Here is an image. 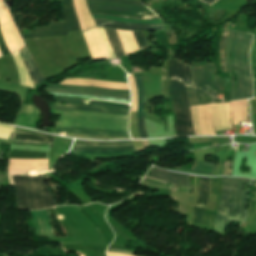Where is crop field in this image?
Listing matches in <instances>:
<instances>
[{"label": "crop field", "instance_id": "obj_1", "mask_svg": "<svg viewBox=\"0 0 256 256\" xmlns=\"http://www.w3.org/2000/svg\"><path fill=\"white\" fill-rule=\"evenodd\" d=\"M128 116L129 115L102 114L87 111H63L54 133L89 134L109 137L130 136L128 132ZM80 127L118 131L92 130Z\"/></svg>", "mask_w": 256, "mask_h": 256}, {"label": "crop field", "instance_id": "obj_2", "mask_svg": "<svg viewBox=\"0 0 256 256\" xmlns=\"http://www.w3.org/2000/svg\"><path fill=\"white\" fill-rule=\"evenodd\" d=\"M185 86H192L191 67L169 58L168 93L175 113L176 136L194 135Z\"/></svg>", "mask_w": 256, "mask_h": 256}, {"label": "crop field", "instance_id": "obj_3", "mask_svg": "<svg viewBox=\"0 0 256 256\" xmlns=\"http://www.w3.org/2000/svg\"><path fill=\"white\" fill-rule=\"evenodd\" d=\"M246 181V184H245ZM250 183V179L246 178H230L222 177V194L220 199L219 210L216 214L215 220V231L218 233H223L225 230V225L227 219L228 223H231L233 219L238 221H243L245 217V207L247 201V187ZM244 202L243 207L241 208L242 194L244 190ZM239 186V189H238ZM238 189V203L236 207L235 217L233 218L234 209L236 205V194ZM233 196L232 205H230L231 197Z\"/></svg>", "mask_w": 256, "mask_h": 256}, {"label": "crop field", "instance_id": "obj_4", "mask_svg": "<svg viewBox=\"0 0 256 256\" xmlns=\"http://www.w3.org/2000/svg\"><path fill=\"white\" fill-rule=\"evenodd\" d=\"M224 78L216 77L214 64L193 68V87H187L190 106L223 102Z\"/></svg>", "mask_w": 256, "mask_h": 256}, {"label": "crop field", "instance_id": "obj_5", "mask_svg": "<svg viewBox=\"0 0 256 256\" xmlns=\"http://www.w3.org/2000/svg\"><path fill=\"white\" fill-rule=\"evenodd\" d=\"M252 35L235 32L231 49V63L236 76V99L252 97V79L249 70V48Z\"/></svg>", "mask_w": 256, "mask_h": 256}, {"label": "crop field", "instance_id": "obj_6", "mask_svg": "<svg viewBox=\"0 0 256 256\" xmlns=\"http://www.w3.org/2000/svg\"><path fill=\"white\" fill-rule=\"evenodd\" d=\"M13 178L18 209H42L56 206L44 184L43 174L33 177L18 175Z\"/></svg>", "mask_w": 256, "mask_h": 256}, {"label": "crop field", "instance_id": "obj_7", "mask_svg": "<svg viewBox=\"0 0 256 256\" xmlns=\"http://www.w3.org/2000/svg\"><path fill=\"white\" fill-rule=\"evenodd\" d=\"M191 110L196 135H215L210 115H212L215 130L231 128L229 103L196 106L191 107Z\"/></svg>", "mask_w": 256, "mask_h": 256}, {"label": "crop field", "instance_id": "obj_8", "mask_svg": "<svg viewBox=\"0 0 256 256\" xmlns=\"http://www.w3.org/2000/svg\"><path fill=\"white\" fill-rule=\"evenodd\" d=\"M19 53L32 77V80L34 82V84H38L41 81L46 80L38 71L35 63L33 62L26 46L24 48H22L21 50H19ZM18 51L13 53L12 56L15 60V63L17 65V69H18V74H19V78H20V82L22 85L25 86H30V87H34V84L31 80V77L19 55ZM35 88V87H34Z\"/></svg>", "mask_w": 256, "mask_h": 256}, {"label": "crop field", "instance_id": "obj_9", "mask_svg": "<svg viewBox=\"0 0 256 256\" xmlns=\"http://www.w3.org/2000/svg\"><path fill=\"white\" fill-rule=\"evenodd\" d=\"M147 176L189 187V175L168 172L166 170L156 168ZM146 178H144L141 184L152 186V187L168 188L176 191L189 193V188L187 187H183L175 184H169V183L165 184V183H161L162 181L157 182L158 180L154 181Z\"/></svg>", "mask_w": 256, "mask_h": 256}, {"label": "crop field", "instance_id": "obj_10", "mask_svg": "<svg viewBox=\"0 0 256 256\" xmlns=\"http://www.w3.org/2000/svg\"><path fill=\"white\" fill-rule=\"evenodd\" d=\"M133 146L125 147H72L69 153H76L84 156H116L131 153Z\"/></svg>", "mask_w": 256, "mask_h": 256}, {"label": "crop field", "instance_id": "obj_11", "mask_svg": "<svg viewBox=\"0 0 256 256\" xmlns=\"http://www.w3.org/2000/svg\"><path fill=\"white\" fill-rule=\"evenodd\" d=\"M48 159H9L8 174H20L30 170H48Z\"/></svg>", "mask_w": 256, "mask_h": 256}, {"label": "crop field", "instance_id": "obj_12", "mask_svg": "<svg viewBox=\"0 0 256 256\" xmlns=\"http://www.w3.org/2000/svg\"><path fill=\"white\" fill-rule=\"evenodd\" d=\"M209 177H199L197 204L193 208L192 224L202 225L203 208L206 204L209 191Z\"/></svg>", "mask_w": 256, "mask_h": 256}, {"label": "crop field", "instance_id": "obj_13", "mask_svg": "<svg viewBox=\"0 0 256 256\" xmlns=\"http://www.w3.org/2000/svg\"><path fill=\"white\" fill-rule=\"evenodd\" d=\"M94 29H98V28H96V27L91 28V29H89L85 32H88V31H91V30H94ZM85 32H83V33H85ZM84 35L86 37V40L88 42V45L90 47V50L92 52L93 57L107 56L108 55L107 50H106V46L104 44V41L102 39V36H101L99 30H94V31L85 33ZM89 47H88V49H89ZM90 50H89V52H90ZM91 52H90V54H91ZM92 55H91V57H92ZM93 57H92V59H93ZM104 58H106V60L110 59V57L107 56V57L94 58L93 61L95 59H104Z\"/></svg>", "mask_w": 256, "mask_h": 256}, {"label": "crop field", "instance_id": "obj_14", "mask_svg": "<svg viewBox=\"0 0 256 256\" xmlns=\"http://www.w3.org/2000/svg\"><path fill=\"white\" fill-rule=\"evenodd\" d=\"M97 26L102 27H111V28H119V29H129V30H151V31H159L164 29V24H132L118 21H111L105 19H94Z\"/></svg>", "mask_w": 256, "mask_h": 256}, {"label": "crop field", "instance_id": "obj_15", "mask_svg": "<svg viewBox=\"0 0 256 256\" xmlns=\"http://www.w3.org/2000/svg\"><path fill=\"white\" fill-rule=\"evenodd\" d=\"M88 9H99V10H107L121 13H135L141 15L153 14L147 8L141 7H133V6H125L111 3H97V2H86Z\"/></svg>", "mask_w": 256, "mask_h": 256}, {"label": "crop field", "instance_id": "obj_16", "mask_svg": "<svg viewBox=\"0 0 256 256\" xmlns=\"http://www.w3.org/2000/svg\"><path fill=\"white\" fill-rule=\"evenodd\" d=\"M37 236H56L47 217L46 211H30Z\"/></svg>", "mask_w": 256, "mask_h": 256}, {"label": "crop field", "instance_id": "obj_17", "mask_svg": "<svg viewBox=\"0 0 256 256\" xmlns=\"http://www.w3.org/2000/svg\"><path fill=\"white\" fill-rule=\"evenodd\" d=\"M47 92L52 93H67V94H83V95H93V96H110L130 100V93H110L103 91H94V90H82V89H67V88H54L47 87L45 89Z\"/></svg>", "mask_w": 256, "mask_h": 256}, {"label": "crop field", "instance_id": "obj_18", "mask_svg": "<svg viewBox=\"0 0 256 256\" xmlns=\"http://www.w3.org/2000/svg\"><path fill=\"white\" fill-rule=\"evenodd\" d=\"M2 35L4 38V41L10 51V53L18 50L23 46L22 40L19 36V33L17 29L15 28L13 22L5 25V26H0Z\"/></svg>", "mask_w": 256, "mask_h": 256}, {"label": "crop field", "instance_id": "obj_19", "mask_svg": "<svg viewBox=\"0 0 256 256\" xmlns=\"http://www.w3.org/2000/svg\"><path fill=\"white\" fill-rule=\"evenodd\" d=\"M52 109L57 110H87L96 111L103 113H115V114H129V110L125 109H115V108H105V107H95V106H85V105H66L60 103H50Z\"/></svg>", "mask_w": 256, "mask_h": 256}, {"label": "crop field", "instance_id": "obj_20", "mask_svg": "<svg viewBox=\"0 0 256 256\" xmlns=\"http://www.w3.org/2000/svg\"><path fill=\"white\" fill-rule=\"evenodd\" d=\"M67 34L65 22L51 23L49 26L34 28L30 30L29 34L21 35L22 38L47 36V35H61Z\"/></svg>", "mask_w": 256, "mask_h": 256}, {"label": "crop field", "instance_id": "obj_21", "mask_svg": "<svg viewBox=\"0 0 256 256\" xmlns=\"http://www.w3.org/2000/svg\"><path fill=\"white\" fill-rule=\"evenodd\" d=\"M134 76L138 91V131L141 138H147L144 129V89L142 85L141 75L134 74Z\"/></svg>", "mask_w": 256, "mask_h": 256}, {"label": "crop field", "instance_id": "obj_22", "mask_svg": "<svg viewBox=\"0 0 256 256\" xmlns=\"http://www.w3.org/2000/svg\"><path fill=\"white\" fill-rule=\"evenodd\" d=\"M61 83L100 86V87H107V88H113V89H129L128 85L125 83H115V82L89 80V79H66Z\"/></svg>", "mask_w": 256, "mask_h": 256}, {"label": "crop field", "instance_id": "obj_23", "mask_svg": "<svg viewBox=\"0 0 256 256\" xmlns=\"http://www.w3.org/2000/svg\"><path fill=\"white\" fill-rule=\"evenodd\" d=\"M74 1V8L76 10L81 30H85L90 27H94L95 23L93 19L90 17L89 12L86 8L85 0H73Z\"/></svg>", "mask_w": 256, "mask_h": 256}, {"label": "crop field", "instance_id": "obj_24", "mask_svg": "<svg viewBox=\"0 0 256 256\" xmlns=\"http://www.w3.org/2000/svg\"><path fill=\"white\" fill-rule=\"evenodd\" d=\"M116 30L122 43L125 56L139 50L132 31Z\"/></svg>", "mask_w": 256, "mask_h": 256}, {"label": "crop field", "instance_id": "obj_25", "mask_svg": "<svg viewBox=\"0 0 256 256\" xmlns=\"http://www.w3.org/2000/svg\"><path fill=\"white\" fill-rule=\"evenodd\" d=\"M68 31L79 29L72 0H62Z\"/></svg>", "mask_w": 256, "mask_h": 256}, {"label": "crop field", "instance_id": "obj_26", "mask_svg": "<svg viewBox=\"0 0 256 256\" xmlns=\"http://www.w3.org/2000/svg\"><path fill=\"white\" fill-rule=\"evenodd\" d=\"M233 33L229 31L228 32V37H227V42H226V47H225V66L226 70L230 75V80H231V92H230V100H234V95H235V81L233 76L231 75L232 69L230 65V46H231V41L233 37Z\"/></svg>", "mask_w": 256, "mask_h": 256}, {"label": "crop field", "instance_id": "obj_27", "mask_svg": "<svg viewBox=\"0 0 256 256\" xmlns=\"http://www.w3.org/2000/svg\"><path fill=\"white\" fill-rule=\"evenodd\" d=\"M246 104L247 100L230 102L232 122L234 125L238 124V121H247L246 118ZM240 106H241V119H240Z\"/></svg>", "mask_w": 256, "mask_h": 256}, {"label": "crop field", "instance_id": "obj_28", "mask_svg": "<svg viewBox=\"0 0 256 256\" xmlns=\"http://www.w3.org/2000/svg\"><path fill=\"white\" fill-rule=\"evenodd\" d=\"M195 162H196V165L193 170L177 168L176 171L202 175V176H212V171H213L212 164L201 162V161H195Z\"/></svg>", "mask_w": 256, "mask_h": 256}, {"label": "crop field", "instance_id": "obj_29", "mask_svg": "<svg viewBox=\"0 0 256 256\" xmlns=\"http://www.w3.org/2000/svg\"><path fill=\"white\" fill-rule=\"evenodd\" d=\"M55 98L57 102H63V103L104 105V106H113V107H120V108H126V109H129L130 107L127 105L105 103V102H93V101L83 102L82 99H78V98H63V97H55Z\"/></svg>", "mask_w": 256, "mask_h": 256}, {"label": "crop field", "instance_id": "obj_30", "mask_svg": "<svg viewBox=\"0 0 256 256\" xmlns=\"http://www.w3.org/2000/svg\"><path fill=\"white\" fill-rule=\"evenodd\" d=\"M104 29L106 31V34H107V36L109 38V41L111 43V46L113 48L115 57L116 58L123 57L124 56L123 50H122L121 45L119 43V40H118V37H117V34H116V30L115 29H109V28H104Z\"/></svg>", "mask_w": 256, "mask_h": 256}, {"label": "crop field", "instance_id": "obj_31", "mask_svg": "<svg viewBox=\"0 0 256 256\" xmlns=\"http://www.w3.org/2000/svg\"><path fill=\"white\" fill-rule=\"evenodd\" d=\"M132 145L131 141L100 142V141H75L73 146H125Z\"/></svg>", "mask_w": 256, "mask_h": 256}, {"label": "crop field", "instance_id": "obj_32", "mask_svg": "<svg viewBox=\"0 0 256 256\" xmlns=\"http://www.w3.org/2000/svg\"><path fill=\"white\" fill-rule=\"evenodd\" d=\"M13 139H25V140H33V141H48V142L53 141V137H50V136L33 135V134H16V133H14Z\"/></svg>", "mask_w": 256, "mask_h": 256}, {"label": "crop field", "instance_id": "obj_33", "mask_svg": "<svg viewBox=\"0 0 256 256\" xmlns=\"http://www.w3.org/2000/svg\"><path fill=\"white\" fill-rule=\"evenodd\" d=\"M250 60H251V70H252V75L254 79V88H255L254 97H256V33L254 35V40L251 48Z\"/></svg>", "mask_w": 256, "mask_h": 256}, {"label": "crop field", "instance_id": "obj_34", "mask_svg": "<svg viewBox=\"0 0 256 256\" xmlns=\"http://www.w3.org/2000/svg\"><path fill=\"white\" fill-rule=\"evenodd\" d=\"M129 85L131 87L132 106L131 111H137V92L133 80V75H128Z\"/></svg>", "mask_w": 256, "mask_h": 256}, {"label": "crop field", "instance_id": "obj_35", "mask_svg": "<svg viewBox=\"0 0 256 256\" xmlns=\"http://www.w3.org/2000/svg\"><path fill=\"white\" fill-rule=\"evenodd\" d=\"M48 86H56V87H68V88H85V89H95V90H103V91H110V92H130L129 90H112L106 88H98V87H90V86H78V85H53V84H46Z\"/></svg>", "mask_w": 256, "mask_h": 256}, {"label": "crop field", "instance_id": "obj_36", "mask_svg": "<svg viewBox=\"0 0 256 256\" xmlns=\"http://www.w3.org/2000/svg\"><path fill=\"white\" fill-rule=\"evenodd\" d=\"M12 21L8 10L5 8L2 0H0V25Z\"/></svg>", "mask_w": 256, "mask_h": 256}, {"label": "crop field", "instance_id": "obj_37", "mask_svg": "<svg viewBox=\"0 0 256 256\" xmlns=\"http://www.w3.org/2000/svg\"><path fill=\"white\" fill-rule=\"evenodd\" d=\"M133 33L135 35L140 50L149 47L142 32L133 31Z\"/></svg>", "mask_w": 256, "mask_h": 256}, {"label": "crop field", "instance_id": "obj_38", "mask_svg": "<svg viewBox=\"0 0 256 256\" xmlns=\"http://www.w3.org/2000/svg\"><path fill=\"white\" fill-rule=\"evenodd\" d=\"M227 32H228V30L223 31L221 47H220V63H221V69L223 72H226L225 67H224V57H222V56L224 54V47H225Z\"/></svg>", "mask_w": 256, "mask_h": 256}, {"label": "crop field", "instance_id": "obj_39", "mask_svg": "<svg viewBox=\"0 0 256 256\" xmlns=\"http://www.w3.org/2000/svg\"><path fill=\"white\" fill-rule=\"evenodd\" d=\"M87 1L111 2V3H118V4H125V5H133V6H142V7H144L140 2L129 1V0H87Z\"/></svg>", "mask_w": 256, "mask_h": 256}, {"label": "crop field", "instance_id": "obj_40", "mask_svg": "<svg viewBox=\"0 0 256 256\" xmlns=\"http://www.w3.org/2000/svg\"><path fill=\"white\" fill-rule=\"evenodd\" d=\"M93 18H106V19L133 22V23H159V22H162V20H158V21H136V20H130V19H119L117 17H109V16H93Z\"/></svg>", "mask_w": 256, "mask_h": 256}, {"label": "crop field", "instance_id": "obj_41", "mask_svg": "<svg viewBox=\"0 0 256 256\" xmlns=\"http://www.w3.org/2000/svg\"><path fill=\"white\" fill-rule=\"evenodd\" d=\"M11 132H13V126L0 123V135L9 137ZM3 136H0V137L8 139L7 137H3Z\"/></svg>", "mask_w": 256, "mask_h": 256}, {"label": "crop field", "instance_id": "obj_42", "mask_svg": "<svg viewBox=\"0 0 256 256\" xmlns=\"http://www.w3.org/2000/svg\"><path fill=\"white\" fill-rule=\"evenodd\" d=\"M54 95L67 96V97L99 98V99L115 100V101H121V102L130 103V101H128V100H122V99H116V98H108V97H93V96L66 95V94H54Z\"/></svg>", "mask_w": 256, "mask_h": 256}, {"label": "crop field", "instance_id": "obj_43", "mask_svg": "<svg viewBox=\"0 0 256 256\" xmlns=\"http://www.w3.org/2000/svg\"><path fill=\"white\" fill-rule=\"evenodd\" d=\"M100 31H101L102 36H103V38H104V41H105V43H106V46H107L108 52H109V54H110L111 58H112V59H114L115 57H114V54H113L112 48H111V46H110V43H109V41H108V38H107V36H106V34H105V31H104V29H103V28H100Z\"/></svg>", "mask_w": 256, "mask_h": 256}, {"label": "crop field", "instance_id": "obj_44", "mask_svg": "<svg viewBox=\"0 0 256 256\" xmlns=\"http://www.w3.org/2000/svg\"><path fill=\"white\" fill-rule=\"evenodd\" d=\"M65 136H71L76 138H89V139H124V138L92 137V136H84V135H65ZM125 138H130V137H125Z\"/></svg>", "mask_w": 256, "mask_h": 256}, {"label": "crop field", "instance_id": "obj_45", "mask_svg": "<svg viewBox=\"0 0 256 256\" xmlns=\"http://www.w3.org/2000/svg\"><path fill=\"white\" fill-rule=\"evenodd\" d=\"M91 15H110V16H117V17H120V18H130V19L141 20V18L128 17V16H119V15H112V14H104V13H91ZM152 19H159V18L158 17H154Z\"/></svg>", "mask_w": 256, "mask_h": 256}, {"label": "crop field", "instance_id": "obj_46", "mask_svg": "<svg viewBox=\"0 0 256 256\" xmlns=\"http://www.w3.org/2000/svg\"><path fill=\"white\" fill-rule=\"evenodd\" d=\"M14 132L44 134V133H39V132H35V131L25 130V129H21V128H17V127H15V131ZM45 135H47V134H45Z\"/></svg>", "mask_w": 256, "mask_h": 256}, {"label": "crop field", "instance_id": "obj_47", "mask_svg": "<svg viewBox=\"0 0 256 256\" xmlns=\"http://www.w3.org/2000/svg\"><path fill=\"white\" fill-rule=\"evenodd\" d=\"M255 183L256 180L252 181V186H251V192H250V197H249V203H253L254 198L251 196V193H253L254 189H255Z\"/></svg>", "mask_w": 256, "mask_h": 256}, {"label": "crop field", "instance_id": "obj_48", "mask_svg": "<svg viewBox=\"0 0 256 256\" xmlns=\"http://www.w3.org/2000/svg\"><path fill=\"white\" fill-rule=\"evenodd\" d=\"M12 142L40 143V144H48V145H51V144H52V143L32 142V141H25V140H13Z\"/></svg>", "mask_w": 256, "mask_h": 256}, {"label": "crop field", "instance_id": "obj_49", "mask_svg": "<svg viewBox=\"0 0 256 256\" xmlns=\"http://www.w3.org/2000/svg\"><path fill=\"white\" fill-rule=\"evenodd\" d=\"M230 167H231V166L226 167V165H225V171H224V174H223V175H229V176H230V172H231Z\"/></svg>", "mask_w": 256, "mask_h": 256}, {"label": "crop field", "instance_id": "obj_50", "mask_svg": "<svg viewBox=\"0 0 256 256\" xmlns=\"http://www.w3.org/2000/svg\"><path fill=\"white\" fill-rule=\"evenodd\" d=\"M198 1L204 2V3L209 4V5H212L217 0H198Z\"/></svg>", "mask_w": 256, "mask_h": 256}, {"label": "crop field", "instance_id": "obj_51", "mask_svg": "<svg viewBox=\"0 0 256 256\" xmlns=\"http://www.w3.org/2000/svg\"><path fill=\"white\" fill-rule=\"evenodd\" d=\"M107 251H110V252H121V253H126V254H132V255H134V253H131V252H125V251H119V250L107 249Z\"/></svg>", "mask_w": 256, "mask_h": 256}, {"label": "crop field", "instance_id": "obj_52", "mask_svg": "<svg viewBox=\"0 0 256 256\" xmlns=\"http://www.w3.org/2000/svg\"><path fill=\"white\" fill-rule=\"evenodd\" d=\"M107 256H114V255H116V256H130V255H124V254H116V253H109V252H107Z\"/></svg>", "mask_w": 256, "mask_h": 256}, {"label": "crop field", "instance_id": "obj_53", "mask_svg": "<svg viewBox=\"0 0 256 256\" xmlns=\"http://www.w3.org/2000/svg\"><path fill=\"white\" fill-rule=\"evenodd\" d=\"M144 147H149L148 140H141Z\"/></svg>", "mask_w": 256, "mask_h": 256}, {"label": "crop field", "instance_id": "obj_54", "mask_svg": "<svg viewBox=\"0 0 256 256\" xmlns=\"http://www.w3.org/2000/svg\"><path fill=\"white\" fill-rule=\"evenodd\" d=\"M47 213H48L49 220H50V221H53L49 209H47Z\"/></svg>", "mask_w": 256, "mask_h": 256}, {"label": "crop field", "instance_id": "obj_55", "mask_svg": "<svg viewBox=\"0 0 256 256\" xmlns=\"http://www.w3.org/2000/svg\"><path fill=\"white\" fill-rule=\"evenodd\" d=\"M141 70L138 68L133 67V72H140Z\"/></svg>", "mask_w": 256, "mask_h": 256}, {"label": "crop field", "instance_id": "obj_56", "mask_svg": "<svg viewBox=\"0 0 256 256\" xmlns=\"http://www.w3.org/2000/svg\"><path fill=\"white\" fill-rule=\"evenodd\" d=\"M2 55H1V53H0V57H1Z\"/></svg>", "mask_w": 256, "mask_h": 256}]
</instances>
